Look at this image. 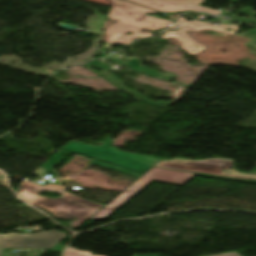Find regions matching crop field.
Returning a JSON list of instances; mask_svg holds the SVG:
<instances>
[{
	"label": "crop field",
	"instance_id": "3316defc",
	"mask_svg": "<svg viewBox=\"0 0 256 256\" xmlns=\"http://www.w3.org/2000/svg\"><path fill=\"white\" fill-rule=\"evenodd\" d=\"M108 59L110 60H113L121 65H124V66H129L133 71H137V72H141V73H145V74H148L150 76H153V77H156V78H159V79H163V80H172L175 78V75L173 74H170V73H166V74H160L157 70L155 71H151L150 69L148 68H144L141 66V63L142 61H140L138 59V57H133L131 58L128 62L129 64H126L125 62L121 61V60H118L116 58H113L111 56L107 57Z\"/></svg>",
	"mask_w": 256,
	"mask_h": 256
},
{
	"label": "crop field",
	"instance_id": "214f88e0",
	"mask_svg": "<svg viewBox=\"0 0 256 256\" xmlns=\"http://www.w3.org/2000/svg\"><path fill=\"white\" fill-rule=\"evenodd\" d=\"M232 2H238V3H240L238 0H232ZM232 2H231V3H232Z\"/></svg>",
	"mask_w": 256,
	"mask_h": 256
},
{
	"label": "crop field",
	"instance_id": "bc2a9ffb",
	"mask_svg": "<svg viewBox=\"0 0 256 256\" xmlns=\"http://www.w3.org/2000/svg\"><path fill=\"white\" fill-rule=\"evenodd\" d=\"M134 256H153V255H134Z\"/></svg>",
	"mask_w": 256,
	"mask_h": 256
},
{
	"label": "crop field",
	"instance_id": "cbeb9de0",
	"mask_svg": "<svg viewBox=\"0 0 256 256\" xmlns=\"http://www.w3.org/2000/svg\"><path fill=\"white\" fill-rule=\"evenodd\" d=\"M64 256H94L90 252L78 251L73 248H68L65 251Z\"/></svg>",
	"mask_w": 256,
	"mask_h": 256
},
{
	"label": "crop field",
	"instance_id": "8a807250",
	"mask_svg": "<svg viewBox=\"0 0 256 256\" xmlns=\"http://www.w3.org/2000/svg\"><path fill=\"white\" fill-rule=\"evenodd\" d=\"M43 190L59 192L62 195L55 199L38 196V193ZM18 193L24 201L52 213L55 218L73 221L70 223L73 229L78 228L104 207V205L84 200L51 184L42 186L30 181H23L18 186ZM71 216H75L77 221L70 219Z\"/></svg>",
	"mask_w": 256,
	"mask_h": 256
},
{
	"label": "crop field",
	"instance_id": "22f410ed",
	"mask_svg": "<svg viewBox=\"0 0 256 256\" xmlns=\"http://www.w3.org/2000/svg\"><path fill=\"white\" fill-rule=\"evenodd\" d=\"M91 163L99 165V166H103V167H106V168H109V169H114V170H117L119 172L132 175V176H134L136 178H140L142 176V174L131 172V171H127V170H123V169H120V168H117V167H114V166H111V165H108V164H105V163H101V162H98V161L92 160Z\"/></svg>",
	"mask_w": 256,
	"mask_h": 256
},
{
	"label": "crop field",
	"instance_id": "34b2d1b8",
	"mask_svg": "<svg viewBox=\"0 0 256 256\" xmlns=\"http://www.w3.org/2000/svg\"><path fill=\"white\" fill-rule=\"evenodd\" d=\"M113 142L105 139V143L100 147H93L76 142H69L62 150L85 154L86 157L101 160L119 167L127 168L139 173H145L150 167L160 160L156 157L137 156L126 152H119L116 147H111Z\"/></svg>",
	"mask_w": 256,
	"mask_h": 256
},
{
	"label": "crop field",
	"instance_id": "412701ff",
	"mask_svg": "<svg viewBox=\"0 0 256 256\" xmlns=\"http://www.w3.org/2000/svg\"><path fill=\"white\" fill-rule=\"evenodd\" d=\"M193 174L153 167L90 220L105 219L152 180L182 184Z\"/></svg>",
	"mask_w": 256,
	"mask_h": 256
},
{
	"label": "crop field",
	"instance_id": "dd49c442",
	"mask_svg": "<svg viewBox=\"0 0 256 256\" xmlns=\"http://www.w3.org/2000/svg\"><path fill=\"white\" fill-rule=\"evenodd\" d=\"M179 31H173V32H164V35L161 36V38L166 39L169 37H175L177 40L181 42V48L184 49L186 52H188L191 55H195L201 51H203L206 46H203L199 43H197L192 37H190L185 31H197V30H202L204 28L210 29V30H216V31H221V32H226V33H231L235 34L236 31H238V27L241 25H237L234 27H229L233 29L232 32H227L224 31L227 27H216V26H211L209 24L203 23V22H187L184 20L183 17L180 18L178 22ZM249 33H251V36H248L249 38L256 39V30H252L248 33L245 34H235V35H242V36H247Z\"/></svg>",
	"mask_w": 256,
	"mask_h": 256
},
{
	"label": "crop field",
	"instance_id": "92a150f3",
	"mask_svg": "<svg viewBox=\"0 0 256 256\" xmlns=\"http://www.w3.org/2000/svg\"><path fill=\"white\" fill-rule=\"evenodd\" d=\"M169 17H171L172 19H174L172 16H169ZM175 20V19H174ZM176 21V20H175Z\"/></svg>",
	"mask_w": 256,
	"mask_h": 256
},
{
	"label": "crop field",
	"instance_id": "d8731c3e",
	"mask_svg": "<svg viewBox=\"0 0 256 256\" xmlns=\"http://www.w3.org/2000/svg\"><path fill=\"white\" fill-rule=\"evenodd\" d=\"M143 6L161 11V12H174V11H183V10H206L220 12L216 10H211L202 6H199L198 3L203 2L204 0H129ZM156 2V4H153ZM205 12V11H203ZM210 14H216L207 12ZM222 13V12H220Z\"/></svg>",
	"mask_w": 256,
	"mask_h": 256
},
{
	"label": "crop field",
	"instance_id": "5142ce71",
	"mask_svg": "<svg viewBox=\"0 0 256 256\" xmlns=\"http://www.w3.org/2000/svg\"><path fill=\"white\" fill-rule=\"evenodd\" d=\"M197 175H198V176H204V177H210V178L227 179V178H223V177L210 176V175H202V174H197ZM227 180H233V179H227ZM234 181L248 182V183H256V181H245V180H234Z\"/></svg>",
	"mask_w": 256,
	"mask_h": 256
},
{
	"label": "crop field",
	"instance_id": "4a817a6b",
	"mask_svg": "<svg viewBox=\"0 0 256 256\" xmlns=\"http://www.w3.org/2000/svg\"><path fill=\"white\" fill-rule=\"evenodd\" d=\"M113 44H108V43H106L103 47H102V49H106V50H108L109 48H110V46H112Z\"/></svg>",
	"mask_w": 256,
	"mask_h": 256
},
{
	"label": "crop field",
	"instance_id": "ac0d7876",
	"mask_svg": "<svg viewBox=\"0 0 256 256\" xmlns=\"http://www.w3.org/2000/svg\"><path fill=\"white\" fill-rule=\"evenodd\" d=\"M110 1L112 10L109 18L119 21L106 30L105 33L108 35L106 42L108 43L126 45L131 43L132 39L137 38V36H141L142 38L153 35V33L140 34L142 27L149 30H158L173 24L167 20L144 16L147 12L152 14H157V12L122 0ZM115 5H117V7ZM125 32H132L133 35L126 36L124 35Z\"/></svg>",
	"mask_w": 256,
	"mask_h": 256
},
{
	"label": "crop field",
	"instance_id": "d9b57169",
	"mask_svg": "<svg viewBox=\"0 0 256 256\" xmlns=\"http://www.w3.org/2000/svg\"><path fill=\"white\" fill-rule=\"evenodd\" d=\"M64 247H65L64 245L58 244L53 249H51V251L55 252V253H61L63 251Z\"/></svg>",
	"mask_w": 256,
	"mask_h": 256
},
{
	"label": "crop field",
	"instance_id": "5a996713",
	"mask_svg": "<svg viewBox=\"0 0 256 256\" xmlns=\"http://www.w3.org/2000/svg\"><path fill=\"white\" fill-rule=\"evenodd\" d=\"M85 67L87 68H92V67H98L100 69H104V72H101L99 73L102 77H104L105 79H107L108 81H110L112 84H114L115 86H117L118 88L122 89L123 91H125L127 94H129L130 96L132 97H135L137 98L139 101L141 102H145V103H149V104H152V105H156V106H160V107H164V108H167L168 107V103H164V102H159L158 104L156 103H153V102H150L148 101L147 99H145L141 94H139L138 92L136 91H132L126 87L123 86V83L117 79L113 74H108L106 71L108 69H110L111 67L97 61V60H94V61H90L88 62L87 64L84 65Z\"/></svg>",
	"mask_w": 256,
	"mask_h": 256
},
{
	"label": "crop field",
	"instance_id": "733c2abd",
	"mask_svg": "<svg viewBox=\"0 0 256 256\" xmlns=\"http://www.w3.org/2000/svg\"><path fill=\"white\" fill-rule=\"evenodd\" d=\"M215 256H240V255L237 254L236 252H233V253H227V254H221V255H215Z\"/></svg>",
	"mask_w": 256,
	"mask_h": 256
},
{
	"label": "crop field",
	"instance_id": "28ad6ade",
	"mask_svg": "<svg viewBox=\"0 0 256 256\" xmlns=\"http://www.w3.org/2000/svg\"><path fill=\"white\" fill-rule=\"evenodd\" d=\"M66 153L62 150L58 151L54 156H52L48 161H46L41 167H39L32 175L42 177L45 174L59 176L56 174L52 169L57 166L63 159L61 158L62 155Z\"/></svg>",
	"mask_w": 256,
	"mask_h": 256
},
{
	"label": "crop field",
	"instance_id": "f4fd0767",
	"mask_svg": "<svg viewBox=\"0 0 256 256\" xmlns=\"http://www.w3.org/2000/svg\"><path fill=\"white\" fill-rule=\"evenodd\" d=\"M156 166L178 169L182 171L198 172L211 175L229 176L241 179H256V175L242 174L233 167V160L213 158L208 160L189 161L175 158L170 161L162 160ZM232 167V170H228Z\"/></svg>",
	"mask_w": 256,
	"mask_h": 256
},
{
	"label": "crop field",
	"instance_id": "e52e79f7",
	"mask_svg": "<svg viewBox=\"0 0 256 256\" xmlns=\"http://www.w3.org/2000/svg\"><path fill=\"white\" fill-rule=\"evenodd\" d=\"M66 235L53 230L28 236L18 233L0 235V256L4 248H51Z\"/></svg>",
	"mask_w": 256,
	"mask_h": 256
},
{
	"label": "crop field",
	"instance_id": "d1516ede",
	"mask_svg": "<svg viewBox=\"0 0 256 256\" xmlns=\"http://www.w3.org/2000/svg\"><path fill=\"white\" fill-rule=\"evenodd\" d=\"M251 7H245L243 8L242 12L246 13L248 16H250V19L247 18H241V17H237V16H232L233 18H237L239 19V21L244 22V23H251V24H255L256 25V20H254L253 18L256 16V13L251 11Z\"/></svg>",
	"mask_w": 256,
	"mask_h": 256
}]
</instances>
